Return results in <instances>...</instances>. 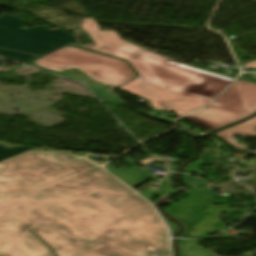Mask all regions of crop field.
<instances>
[{"label":"crop field","mask_w":256,"mask_h":256,"mask_svg":"<svg viewBox=\"0 0 256 256\" xmlns=\"http://www.w3.org/2000/svg\"><path fill=\"white\" fill-rule=\"evenodd\" d=\"M103 163L0 162V255L169 256L153 207Z\"/></svg>","instance_id":"1"},{"label":"crop field","mask_w":256,"mask_h":256,"mask_svg":"<svg viewBox=\"0 0 256 256\" xmlns=\"http://www.w3.org/2000/svg\"><path fill=\"white\" fill-rule=\"evenodd\" d=\"M81 28L96 46L78 47L127 60L142 77L120 88L149 99L157 109L173 111L181 116L210 102L233 81L140 48L120 39L116 31H99L93 18L83 19Z\"/></svg>","instance_id":"2"},{"label":"crop field","mask_w":256,"mask_h":256,"mask_svg":"<svg viewBox=\"0 0 256 256\" xmlns=\"http://www.w3.org/2000/svg\"><path fill=\"white\" fill-rule=\"evenodd\" d=\"M35 64L87 82L63 72L67 68L81 70L92 79L103 83L102 86H94L87 82L96 92V95L106 99L112 105H122L123 102L108 93L105 87L118 86L137 76L126 61L70 46L35 61Z\"/></svg>","instance_id":"3"},{"label":"crop field","mask_w":256,"mask_h":256,"mask_svg":"<svg viewBox=\"0 0 256 256\" xmlns=\"http://www.w3.org/2000/svg\"><path fill=\"white\" fill-rule=\"evenodd\" d=\"M254 112H256V84L237 81L208 107L184 119L213 131Z\"/></svg>","instance_id":"4"},{"label":"crop field","mask_w":256,"mask_h":256,"mask_svg":"<svg viewBox=\"0 0 256 256\" xmlns=\"http://www.w3.org/2000/svg\"><path fill=\"white\" fill-rule=\"evenodd\" d=\"M24 20L13 15L0 16V47L44 55L72 40L75 36L62 29L42 25L21 29Z\"/></svg>","instance_id":"5"},{"label":"crop field","mask_w":256,"mask_h":256,"mask_svg":"<svg viewBox=\"0 0 256 256\" xmlns=\"http://www.w3.org/2000/svg\"><path fill=\"white\" fill-rule=\"evenodd\" d=\"M230 207V205L223 204L222 206L207 207L203 209L199 213L182 222L186 225V229L180 237L205 238L212 235L214 231L224 230L225 226L221 219L227 214L235 211ZM207 212L209 214L204 215ZM223 212L225 213L218 218L217 216Z\"/></svg>","instance_id":"6"},{"label":"crop field","mask_w":256,"mask_h":256,"mask_svg":"<svg viewBox=\"0 0 256 256\" xmlns=\"http://www.w3.org/2000/svg\"><path fill=\"white\" fill-rule=\"evenodd\" d=\"M216 196L212 192L200 191L166 212L176 220L182 222L212 204L214 202L212 200Z\"/></svg>","instance_id":"7"},{"label":"crop field","mask_w":256,"mask_h":256,"mask_svg":"<svg viewBox=\"0 0 256 256\" xmlns=\"http://www.w3.org/2000/svg\"><path fill=\"white\" fill-rule=\"evenodd\" d=\"M236 134H241L244 137L247 135H256V117L253 119H250L248 121H245L241 124H238L236 126H233L231 128H228L226 130H223V131L217 133L216 135L225 139L232 146L237 147L242 150H245L247 148V146L238 144L232 138V136L236 135Z\"/></svg>","instance_id":"8"},{"label":"crop field","mask_w":256,"mask_h":256,"mask_svg":"<svg viewBox=\"0 0 256 256\" xmlns=\"http://www.w3.org/2000/svg\"><path fill=\"white\" fill-rule=\"evenodd\" d=\"M22 155L32 160L99 162V161H92L85 157H79V156L71 155L69 153L60 152V151H53V152L29 151Z\"/></svg>","instance_id":"9"},{"label":"crop field","mask_w":256,"mask_h":256,"mask_svg":"<svg viewBox=\"0 0 256 256\" xmlns=\"http://www.w3.org/2000/svg\"><path fill=\"white\" fill-rule=\"evenodd\" d=\"M180 256H208L212 255L211 250L198 247L197 240L178 239Z\"/></svg>","instance_id":"10"},{"label":"crop field","mask_w":256,"mask_h":256,"mask_svg":"<svg viewBox=\"0 0 256 256\" xmlns=\"http://www.w3.org/2000/svg\"><path fill=\"white\" fill-rule=\"evenodd\" d=\"M35 147L33 146H26V147H16L12 149H6L5 146L0 145V161H3L5 159H8L10 157L22 154L24 152H27Z\"/></svg>","instance_id":"11"},{"label":"crop field","mask_w":256,"mask_h":256,"mask_svg":"<svg viewBox=\"0 0 256 256\" xmlns=\"http://www.w3.org/2000/svg\"><path fill=\"white\" fill-rule=\"evenodd\" d=\"M0 55L8 57V58L16 59V60H21L25 63H27L29 61H33L36 58V56L25 55V54L16 53V52H10V51H6V50H2V49H0ZM11 55H15L16 58L11 57Z\"/></svg>","instance_id":"12"},{"label":"crop field","mask_w":256,"mask_h":256,"mask_svg":"<svg viewBox=\"0 0 256 256\" xmlns=\"http://www.w3.org/2000/svg\"><path fill=\"white\" fill-rule=\"evenodd\" d=\"M203 164H204V162H201V161H194V162L192 163L191 167H190L187 171L194 173L195 171L199 170V167H200L201 165H203Z\"/></svg>","instance_id":"13"},{"label":"crop field","mask_w":256,"mask_h":256,"mask_svg":"<svg viewBox=\"0 0 256 256\" xmlns=\"http://www.w3.org/2000/svg\"><path fill=\"white\" fill-rule=\"evenodd\" d=\"M163 218L166 220V222L168 223L171 232H172V237L174 236V234L176 233V231L179 229L178 225L170 222L166 217L163 216Z\"/></svg>","instance_id":"14"},{"label":"crop field","mask_w":256,"mask_h":256,"mask_svg":"<svg viewBox=\"0 0 256 256\" xmlns=\"http://www.w3.org/2000/svg\"><path fill=\"white\" fill-rule=\"evenodd\" d=\"M245 66H247V67H256V61H252V62L246 64Z\"/></svg>","instance_id":"15"},{"label":"crop field","mask_w":256,"mask_h":256,"mask_svg":"<svg viewBox=\"0 0 256 256\" xmlns=\"http://www.w3.org/2000/svg\"><path fill=\"white\" fill-rule=\"evenodd\" d=\"M10 70V68H2V67H0V71H9Z\"/></svg>","instance_id":"16"},{"label":"crop field","mask_w":256,"mask_h":256,"mask_svg":"<svg viewBox=\"0 0 256 256\" xmlns=\"http://www.w3.org/2000/svg\"><path fill=\"white\" fill-rule=\"evenodd\" d=\"M256 253V252H255ZM212 256H215V255H212Z\"/></svg>","instance_id":"17"}]
</instances>
